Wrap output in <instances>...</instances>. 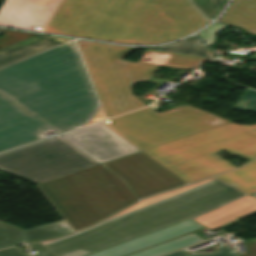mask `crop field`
I'll use <instances>...</instances> for the list:
<instances>
[{"label":"crop field","mask_w":256,"mask_h":256,"mask_svg":"<svg viewBox=\"0 0 256 256\" xmlns=\"http://www.w3.org/2000/svg\"><path fill=\"white\" fill-rule=\"evenodd\" d=\"M208 22L189 0H63L43 32L154 44L183 37Z\"/></svg>","instance_id":"1"},{"label":"crop field","mask_w":256,"mask_h":256,"mask_svg":"<svg viewBox=\"0 0 256 256\" xmlns=\"http://www.w3.org/2000/svg\"><path fill=\"white\" fill-rule=\"evenodd\" d=\"M0 92L58 132L84 122L95 106L72 42L0 70Z\"/></svg>","instance_id":"2"},{"label":"crop field","mask_w":256,"mask_h":256,"mask_svg":"<svg viewBox=\"0 0 256 256\" xmlns=\"http://www.w3.org/2000/svg\"><path fill=\"white\" fill-rule=\"evenodd\" d=\"M244 196L213 177L145 199L92 228L41 244L56 256H86L196 218Z\"/></svg>","instance_id":"3"},{"label":"crop field","mask_w":256,"mask_h":256,"mask_svg":"<svg viewBox=\"0 0 256 256\" xmlns=\"http://www.w3.org/2000/svg\"><path fill=\"white\" fill-rule=\"evenodd\" d=\"M222 150L248 160L256 157V125L230 122L144 152L190 183L236 168L215 154Z\"/></svg>","instance_id":"4"},{"label":"crop field","mask_w":256,"mask_h":256,"mask_svg":"<svg viewBox=\"0 0 256 256\" xmlns=\"http://www.w3.org/2000/svg\"><path fill=\"white\" fill-rule=\"evenodd\" d=\"M37 186L74 232L137 201L121 179L100 165Z\"/></svg>","instance_id":"5"},{"label":"crop field","mask_w":256,"mask_h":256,"mask_svg":"<svg viewBox=\"0 0 256 256\" xmlns=\"http://www.w3.org/2000/svg\"><path fill=\"white\" fill-rule=\"evenodd\" d=\"M106 117L146 106L131 92L137 81L147 82L158 66L120 61L136 49L93 43L80 47Z\"/></svg>","instance_id":"6"},{"label":"crop field","mask_w":256,"mask_h":256,"mask_svg":"<svg viewBox=\"0 0 256 256\" xmlns=\"http://www.w3.org/2000/svg\"><path fill=\"white\" fill-rule=\"evenodd\" d=\"M227 122L185 105L160 114L148 107L103 123L144 150Z\"/></svg>","instance_id":"7"},{"label":"crop field","mask_w":256,"mask_h":256,"mask_svg":"<svg viewBox=\"0 0 256 256\" xmlns=\"http://www.w3.org/2000/svg\"><path fill=\"white\" fill-rule=\"evenodd\" d=\"M97 163L61 136L0 155V170L34 184L65 176Z\"/></svg>","instance_id":"8"},{"label":"crop field","mask_w":256,"mask_h":256,"mask_svg":"<svg viewBox=\"0 0 256 256\" xmlns=\"http://www.w3.org/2000/svg\"><path fill=\"white\" fill-rule=\"evenodd\" d=\"M101 165L121 178L138 200L185 185L141 152Z\"/></svg>","instance_id":"9"},{"label":"crop field","mask_w":256,"mask_h":256,"mask_svg":"<svg viewBox=\"0 0 256 256\" xmlns=\"http://www.w3.org/2000/svg\"><path fill=\"white\" fill-rule=\"evenodd\" d=\"M202 226L187 220L182 223L170 226L157 232L117 245L89 256H127L174 238L186 235L201 229ZM204 241L195 234L191 233L147 250L135 253L130 256H159L198 242Z\"/></svg>","instance_id":"10"},{"label":"crop field","mask_w":256,"mask_h":256,"mask_svg":"<svg viewBox=\"0 0 256 256\" xmlns=\"http://www.w3.org/2000/svg\"><path fill=\"white\" fill-rule=\"evenodd\" d=\"M62 136L99 164L139 152L101 123Z\"/></svg>","instance_id":"11"},{"label":"crop field","mask_w":256,"mask_h":256,"mask_svg":"<svg viewBox=\"0 0 256 256\" xmlns=\"http://www.w3.org/2000/svg\"><path fill=\"white\" fill-rule=\"evenodd\" d=\"M46 130L49 129L0 95V151L47 137L42 134Z\"/></svg>","instance_id":"12"},{"label":"crop field","mask_w":256,"mask_h":256,"mask_svg":"<svg viewBox=\"0 0 256 256\" xmlns=\"http://www.w3.org/2000/svg\"><path fill=\"white\" fill-rule=\"evenodd\" d=\"M58 1L6 0L0 10V25L41 31Z\"/></svg>","instance_id":"13"},{"label":"crop field","mask_w":256,"mask_h":256,"mask_svg":"<svg viewBox=\"0 0 256 256\" xmlns=\"http://www.w3.org/2000/svg\"><path fill=\"white\" fill-rule=\"evenodd\" d=\"M72 39L37 35L0 50V67L38 54Z\"/></svg>","instance_id":"14"},{"label":"crop field","mask_w":256,"mask_h":256,"mask_svg":"<svg viewBox=\"0 0 256 256\" xmlns=\"http://www.w3.org/2000/svg\"><path fill=\"white\" fill-rule=\"evenodd\" d=\"M67 233L71 231L59 226L57 222L26 231L0 222V248L27 241L55 238Z\"/></svg>","instance_id":"15"},{"label":"crop field","mask_w":256,"mask_h":256,"mask_svg":"<svg viewBox=\"0 0 256 256\" xmlns=\"http://www.w3.org/2000/svg\"><path fill=\"white\" fill-rule=\"evenodd\" d=\"M254 211H256V198L249 195L193 220L213 230Z\"/></svg>","instance_id":"16"},{"label":"crop field","mask_w":256,"mask_h":256,"mask_svg":"<svg viewBox=\"0 0 256 256\" xmlns=\"http://www.w3.org/2000/svg\"><path fill=\"white\" fill-rule=\"evenodd\" d=\"M218 22L239 26L251 34H256V0H233Z\"/></svg>","instance_id":"17"},{"label":"crop field","mask_w":256,"mask_h":256,"mask_svg":"<svg viewBox=\"0 0 256 256\" xmlns=\"http://www.w3.org/2000/svg\"><path fill=\"white\" fill-rule=\"evenodd\" d=\"M207 60V58L146 49L140 62L195 70Z\"/></svg>","instance_id":"18"},{"label":"crop field","mask_w":256,"mask_h":256,"mask_svg":"<svg viewBox=\"0 0 256 256\" xmlns=\"http://www.w3.org/2000/svg\"><path fill=\"white\" fill-rule=\"evenodd\" d=\"M216 177L247 195L256 192V160L250 162L241 169Z\"/></svg>","instance_id":"19"},{"label":"crop field","mask_w":256,"mask_h":256,"mask_svg":"<svg viewBox=\"0 0 256 256\" xmlns=\"http://www.w3.org/2000/svg\"><path fill=\"white\" fill-rule=\"evenodd\" d=\"M158 48L162 50H169V51H177V52H185V53H193L199 54L204 56L214 57V53L207 49L201 42H199L193 36L187 38L179 43L168 44L159 47H152Z\"/></svg>","instance_id":"20"},{"label":"crop field","mask_w":256,"mask_h":256,"mask_svg":"<svg viewBox=\"0 0 256 256\" xmlns=\"http://www.w3.org/2000/svg\"><path fill=\"white\" fill-rule=\"evenodd\" d=\"M226 1L227 0H193L194 4L211 20L219 14Z\"/></svg>","instance_id":"21"},{"label":"crop field","mask_w":256,"mask_h":256,"mask_svg":"<svg viewBox=\"0 0 256 256\" xmlns=\"http://www.w3.org/2000/svg\"><path fill=\"white\" fill-rule=\"evenodd\" d=\"M233 109L256 113V91L247 89Z\"/></svg>","instance_id":"22"},{"label":"crop field","mask_w":256,"mask_h":256,"mask_svg":"<svg viewBox=\"0 0 256 256\" xmlns=\"http://www.w3.org/2000/svg\"><path fill=\"white\" fill-rule=\"evenodd\" d=\"M0 31H4V30H0ZM4 32H6L4 33L5 36L0 38V49L35 35V34L19 33V32H12V31H4Z\"/></svg>","instance_id":"23"},{"label":"crop field","mask_w":256,"mask_h":256,"mask_svg":"<svg viewBox=\"0 0 256 256\" xmlns=\"http://www.w3.org/2000/svg\"><path fill=\"white\" fill-rule=\"evenodd\" d=\"M166 256H237L233 250L225 245L223 247H221L217 252L212 253V254H193V253H186L182 250L168 254Z\"/></svg>","instance_id":"24"},{"label":"crop field","mask_w":256,"mask_h":256,"mask_svg":"<svg viewBox=\"0 0 256 256\" xmlns=\"http://www.w3.org/2000/svg\"><path fill=\"white\" fill-rule=\"evenodd\" d=\"M225 27H226L225 25L215 23L214 25H212L208 29L200 32L197 35L199 36V38L204 40L208 45H213V43L215 41L214 33L220 31L221 29H223Z\"/></svg>","instance_id":"25"},{"label":"crop field","mask_w":256,"mask_h":256,"mask_svg":"<svg viewBox=\"0 0 256 256\" xmlns=\"http://www.w3.org/2000/svg\"><path fill=\"white\" fill-rule=\"evenodd\" d=\"M0 256H30V255L24 254L19 249L14 247V248H10V249L0 251Z\"/></svg>","instance_id":"26"},{"label":"crop field","mask_w":256,"mask_h":256,"mask_svg":"<svg viewBox=\"0 0 256 256\" xmlns=\"http://www.w3.org/2000/svg\"><path fill=\"white\" fill-rule=\"evenodd\" d=\"M32 245L35 246L39 250V254H36L34 256H55L54 254H52L48 249H46L40 243H35V244H32Z\"/></svg>","instance_id":"27"},{"label":"crop field","mask_w":256,"mask_h":256,"mask_svg":"<svg viewBox=\"0 0 256 256\" xmlns=\"http://www.w3.org/2000/svg\"><path fill=\"white\" fill-rule=\"evenodd\" d=\"M248 254L244 256H256V242L246 243Z\"/></svg>","instance_id":"28"},{"label":"crop field","mask_w":256,"mask_h":256,"mask_svg":"<svg viewBox=\"0 0 256 256\" xmlns=\"http://www.w3.org/2000/svg\"><path fill=\"white\" fill-rule=\"evenodd\" d=\"M104 117H103V114H102V111H101V108L99 110V112L96 114V116L93 118V120L91 122H89L88 124L90 123H93V122H97V121H100V120H103Z\"/></svg>","instance_id":"29"},{"label":"crop field","mask_w":256,"mask_h":256,"mask_svg":"<svg viewBox=\"0 0 256 256\" xmlns=\"http://www.w3.org/2000/svg\"><path fill=\"white\" fill-rule=\"evenodd\" d=\"M89 43H90V42L78 41L79 46H81V45H85V44H89Z\"/></svg>","instance_id":"30"},{"label":"crop field","mask_w":256,"mask_h":256,"mask_svg":"<svg viewBox=\"0 0 256 256\" xmlns=\"http://www.w3.org/2000/svg\"><path fill=\"white\" fill-rule=\"evenodd\" d=\"M252 196H254V197H256V193H254V194H251Z\"/></svg>","instance_id":"31"}]
</instances>
